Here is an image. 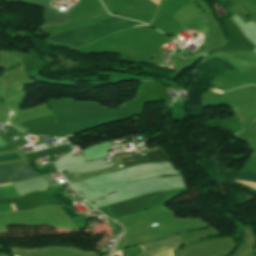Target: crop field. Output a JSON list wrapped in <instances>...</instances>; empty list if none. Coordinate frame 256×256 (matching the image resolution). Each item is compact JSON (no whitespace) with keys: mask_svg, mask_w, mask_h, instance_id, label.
<instances>
[{"mask_svg":"<svg viewBox=\"0 0 256 256\" xmlns=\"http://www.w3.org/2000/svg\"><path fill=\"white\" fill-rule=\"evenodd\" d=\"M146 155L124 158L122 159L124 168L139 164V163H146V162H154V161H163L167 160L164 154L158 149L150 152H146Z\"/></svg>","mask_w":256,"mask_h":256,"instance_id":"3","label":"crop field"},{"mask_svg":"<svg viewBox=\"0 0 256 256\" xmlns=\"http://www.w3.org/2000/svg\"><path fill=\"white\" fill-rule=\"evenodd\" d=\"M13 210L16 211V208L14 204L11 205ZM10 205H1L0 206V212H8V211H13Z\"/></svg>","mask_w":256,"mask_h":256,"instance_id":"7","label":"crop field"},{"mask_svg":"<svg viewBox=\"0 0 256 256\" xmlns=\"http://www.w3.org/2000/svg\"><path fill=\"white\" fill-rule=\"evenodd\" d=\"M59 8H48L46 12V22L58 25L62 24L66 20L68 11H58Z\"/></svg>","mask_w":256,"mask_h":256,"instance_id":"4","label":"crop field"},{"mask_svg":"<svg viewBox=\"0 0 256 256\" xmlns=\"http://www.w3.org/2000/svg\"><path fill=\"white\" fill-rule=\"evenodd\" d=\"M18 196L12 184L0 185V197H15Z\"/></svg>","mask_w":256,"mask_h":256,"instance_id":"5","label":"crop field"},{"mask_svg":"<svg viewBox=\"0 0 256 256\" xmlns=\"http://www.w3.org/2000/svg\"><path fill=\"white\" fill-rule=\"evenodd\" d=\"M39 175L29 164L0 167V184L22 181Z\"/></svg>","mask_w":256,"mask_h":256,"instance_id":"2","label":"crop field"},{"mask_svg":"<svg viewBox=\"0 0 256 256\" xmlns=\"http://www.w3.org/2000/svg\"><path fill=\"white\" fill-rule=\"evenodd\" d=\"M238 178L256 183V175L240 173Z\"/></svg>","mask_w":256,"mask_h":256,"instance_id":"6","label":"crop field"},{"mask_svg":"<svg viewBox=\"0 0 256 256\" xmlns=\"http://www.w3.org/2000/svg\"><path fill=\"white\" fill-rule=\"evenodd\" d=\"M30 1L37 2V3L44 4V5L48 6L51 0H30Z\"/></svg>","mask_w":256,"mask_h":256,"instance_id":"8","label":"crop field"},{"mask_svg":"<svg viewBox=\"0 0 256 256\" xmlns=\"http://www.w3.org/2000/svg\"><path fill=\"white\" fill-rule=\"evenodd\" d=\"M137 24L140 23L114 17L110 20L92 26L54 35L52 36V39L65 42L77 47H82L108 34L114 33L122 29L130 28L131 26Z\"/></svg>","mask_w":256,"mask_h":256,"instance_id":"1","label":"crop field"},{"mask_svg":"<svg viewBox=\"0 0 256 256\" xmlns=\"http://www.w3.org/2000/svg\"><path fill=\"white\" fill-rule=\"evenodd\" d=\"M255 253H256V251H255Z\"/></svg>","mask_w":256,"mask_h":256,"instance_id":"9","label":"crop field"}]
</instances>
